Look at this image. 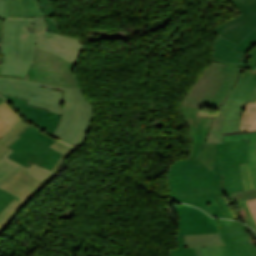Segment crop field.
<instances>
[{
    "instance_id": "8a807250",
    "label": "crop field",
    "mask_w": 256,
    "mask_h": 256,
    "mask_svg": "<svg viewBox=\"0 0 256 256\" xmlns=\"http://www.w3.org/2000/svg\"><path fill=\"white\" fill-rule=\"evenodd\" d=\"M239 163H248V140L216 143L212 170L199 159L176 161L167 174L170 199L202 208L213 217H225L214 198L225 195L241 221L231 194L244 190Z\"/></svg>"
},
{
    "instance_id": "ac0d7876",
    "label": "crop field",
    "mask_w": 256,
    "mask_h": 256,
    "mask_svg": "<svg viewBox=\"0 0 256 256\" xmlns=\"http://www.w3.org/2000/svg\"><path fill=\"white\" fill-rule=\"evenodd\" d=\"M0 93L27 99L28 105L62 114L52 136L75 147L82 146L93 108L80 89L0 77Z\"/></svg>"
},
{
    "instance_id": "34b2d1b8",
    "label": "crop field",
    "mask_w": 256,
    "mask_h": 256,
    "mask_svg": "<svg viewBox=\"0 0 256 256\" xmlns=\"http://www.w3.org/2000/svg\"><path fill=\"white\" fill-rule=\"evenodd\" d=\"M36 47L57 54L74 65L83 49L79 40L48 31L45 17L3 19L1 52L5 57L1 75L25 78Z\"/></svg>"
},
{
    "instance_id": "412701ff",
    "label": "crop field",
    "mask_w": 256,
    "mask_h": 256,
    "mask_svg": "<svg viewBox=\"0 0 256 256\" xmlns=\"http://www.w3.org/2000/svg\"><path fill=\"white\" fill-rule=\"evenodd\" d=\"M179 218L177 249H170V256H196L194 248H184L183 235L220 232L224 245L201 247L202 256H256V241L243 227L228 220L213 219L201 210L188 205L173 206Z\"/></svg>"
},
{
    "instance_id": "f4fd0767",
    "label": "crop field",
    "mask_w": 256,
    "mask_h": 256,
    "mask_svg": "<svg viewBox=\"0 0 256 256\" xmlns=\"http://www.w3.org/2000/svg\"><path fill=\"white\" fill-rule=\"evenodd\" d=\"M243 69L210 62L181 104L217 111Z\"/></svg>"
},
{
    "instance_id": "dd49c442",
    "label": "crop field",
    "mask_w": 256,
    "mask_h": 256,
    "mask_svg": "<svg viewBox=\"0 0 256 256\" xmlns=\"http://www.w3.org/2000/svg\"><path fill=\"white\" fill-rule=\"evenodd\" d=\"M256 98V71L244 69L231 93L212 121L207 142L222 143L221 132L240 131L242 111L248 101Z\"/></svg>"
},
{
    "instance_id": "e52e79f7",
    "label": "crop field",
    "mask_w": 256,
    "mask_h": 256,
    "mask_svg": "<svg viewBox=\"0 0 256 256\" xmlns=\"http://www.w3.org/2000/svg\"><path fill=\"white\" fill-rule=\"evenodd\" d=\"M20 136L8 147L14 150L8 158L27 168L30 166L27 163L32 162L52 170L62 155L48 147L56 140L32 125Z\"/></svg>"
},
{
    "instance_id": "d8731c3e",
    "label": "crop field",
    "mask_w": 256,
    "mask_h": 256,
    "mask_svg": "<svg viewBox=\"0 0 256 256\" xmlns=\"http://www.w3.org/2000/svg\"><path fill=\"white\" fill-rule=\"evenodd\" d=\"M72 68L73 64L68 61L37 48L26 79L62 87L80 88L72 74Z\"/></svg>"
},
{
    "instance_id": "5a996713",
    "label": "crop field",
    "mask_w": 256,
    "mask_h": 256,
    "mask_svg": "<svg viewBox=\"0 0 256 256\" xmlns=\"http://www.w3.org/2000/svg\"><path fill=\"white\" fill-rule=\"evenodd\" d=\"M180 109L193 139L190 159L199 158L212 169L215 143H206V138L214 114L184 105Z\"/></svg>"
},
{
    "instance_id": "3316defc",
    "label": "crop field",
    "mask_w": 256,
    "mask_h": 256,
    "mask_svg": "<svg viewBox=\"0 0 256 256\" xmlns=\"http://www.w3.org/2000/svg\"><path fill=\"white\" fill-rule=\"evenodd\" d=\"M25 172L26 170L19 167L0 183L1 189L20 198L18 201L14 199L0 212V231L5 229L10 223V218L16 210L45 185L36 181Z\"/></svg>"
},
{
    "instance_id": "28ad6ade",
    "label": "crop field",
    "mask_w": 256,
    "mask_h": 256,
    "mask_svg": "<svg viewBox=\"0 0 256 256\" xmlns=\"http://www.w3.org/2000/svg\"><path fill=\"white\" fill-rule=\"evenodd\" d=\"M240 15L216 28L218 35L239 44L245 37L256 43V0H229Z\"/></svg>"
},
{
    "instance_id": "d1516ede",
    "label": "crop field",
    "mask_w": 256,
    "mask_h": 256,
    "mask_svg": "<svg viewBox=\"0 0 256 256\" xmlns=\"http://www.w3.org/2000/svg\"><path fill=\"white\" fill-rule=\"evenodd\" d=\"M2 96L8 100V102L19 114H21L24 118H26L39 129L51 135L55 131L61 115L28 106L26 105V100L5 95Z\"/></svg>"
},
{
    "instance_id": "22f410ed",
    "label": "crop field",
    "mask_w": 256,
    "mask_h": 256,
    "mask_svg": "<svg viewBox=\"0 0 256 256\" xmlns=\"http://www.w3.org/2000/svg\"><path fill=\"white\" fill-rule=\"evenodd\" d=\"M36 16H43L37 0H6L4 17L27 18Z\"/></svg>"
},
{
    "instance_id": "cbeb9de0",
    "label": "crop field",
    "mask_w": 256,
    "mask_h": 256,
    "mask_svg": "<svg viewBox=\"0 0 256 256\" xmlns=\"http://www.w3.org/2000/svg\"><path fill=\"white\" fill-rule=\"evenodd\" d=\"M12 152L10 150L7 154H5L1 159H0V170H3L7 173H12L14 170H16L19 166V164L7 159L6 157ZM31 166L27 169L23 166V168L27 169L28 171L26 172L30 176L34 177L35 179L46 183L48 182L54 175L57 173H54L46 168L37 166L35 164L29 163Z\"/></svg>"
},
{
    "instance_id": "5142ce71",
    "label": "crop field",
    "mask_w": 256,
    "mask_h": 256,
    "mask_svg": "<svg viewBox=\"0 0 256 256\" xmlns=\"http://www.w3.org/2000/svg\"><path fill=\"white\" fill-rule=\"evenodd\" d=\"M236 46L237 44L217 35L213 44L212 57L239 64L246 54L233 50Z\"/></svg>"
},
{
    "instance_id": "d9b57169",
    "label": "crop field",
    "mask_w": 256,
    "mask_h": 256,
    "mask_svg": "<svg viewBox=\"0 0 256 256\" xmlns=\"http://www.w3.org/2000/svg\"><path fill=\"white\" fill-rule=\"evenodd\" d=\"M185 247H195L197 256H201V246H212L223 244L220 234H204V235H185L184 236Z\"/></svg>"
},
{
    "instance_id": "733c2abd",
    "label": "crop field",
    "mask_w": 256,
    "mask_h": 256,
    "mask_svg": "<svg viewBox=\"0 0 256 256\" xmlns=\"http://www.w3.org/2000/svg\"><path fill=\"white\" fill-rule=\"evenodd\" d=\"M249 139V166L254 187L256 186V133L224 136V141Z\"/></svg>"
},
{
    "instance_id": "4a817a6b",
    "label": "crop field",
    "mask_w": 256,
    "mask_h": 256,
    "mask_svg": "<svg viewBox=\"0 0 256 256\" xmlns=\"http://www.w3.org/2000/svg\"><path fill=\"white\" fill-rule=\"evenodd\" d=\"M29 126L30 124L22 119L11 130H9L5 135L0 138V158L10 150L7 147L17 138H19L18 135Z\"/></svg>"
},
{
    "instance_id": "bc2a9ffb",
    "label": "crop field",
    "mask_w": 256,
    "mask_h": 256,
    "mask_svg": "<svg viewBox=\"0 0 256 256\" xmlns=\"http://www.w3.org/2000/svg\"><path fill=\"white\" fill-rule=\"evenodd\" d=\"M244 129L256 130V104L249 103L246 105L241 121V131Z\"/></svg>"
},
{
    "instance_id": "214f88e0",
    "label": "crop field",
    "mask_w": 256,
    "mask_h": 256,
    "mask_svg": "<svg viewBox=\"0 0 256 256\" xmlns=\"http://www.w3.org/2000/svg\"><path fill=\"white\" fill-rule=\"evenodd\" d=\"M0 118L12 127L22 119L6 101L0 103Z\"/></svg>"
},
{
    "instance_id": "92a150f3",
    "label": "crop field",
    "mask_w": 256,
    "mask_h": 256,
    "mask_svg": "<svg viewBox=\"0 0 256 256\" xmlns=\"http://www.w3.org/2000/svg\"><path fill=\"white\" fill-rule=\"evenodd\" d=\"M49 147L55 149L56 151L62 153V157L59 159V161L56 163L55 167L53 168V171L57 172L59 171L62 163L66 160V158L71 154V152L73 150H75L74 148L61 143L59 141L54 142L52 145H50Z\"/></svg>"
},
{
    "instance_id": "dafd665d",
    "label": "crop field",
    "mask_w": 256,
    "mask_h": 256,
    "mask_svg": "<svg viewBox=\"0 0 256 256\" xmlns=\"http://www.w3.org/2000/svg\"><path fill=\"white\" fill-rule=\"evenodd\" d=\"M236 203H237L242 221L245 222L247 225L251 226L256 231V223L250 214V211L248 209V206L245 200L238 201Z\"/></svg>"
},
{
    "instance_id": "00972430",
    "label": "crop field",
    "mask_w": 256,
    "mask_h": 256,
    "mask_svg": "<svg viewBox=\"0 0 256 256\" xmlns=\"http://www.w3.org/2000/svg\"><path fill=\"white\" fill-rule=\"evenodd\" d=\"M239 67L256 70V46L245 56Z\"/></svg>"
},
{
    "instance_id": "a9b5d70f",
    "label": "crop field",
    "mask_w": 256,
    "mask_h": 256,
    "mask_svg": "<svg viewBox=\"0 0 256 256\" xmlns=\"http://www.w3.org/2000/svg\"><path fill=\"white\" fill-rule=\"evenodd\" d=\"M232 194H233L235 201L243 200V199H246V201H247V200L256 198V188H252V189H249L246 191H241V192H235Z\"/></svg>"
},
{
    "instance_id": "4177f3b9",
    "label": "crop field",
    "mask_w": 256,
    "mask_h": 256,
    "mask_svg": "<svg viewBox=\"0 0 256 256\" xmlns=\"http://www.w3.org/2000/svg\"><path fill=\"white\" fill-rule=\"evenodd\" d=\"M241 166V172H242V177H243V182H244V188L249 189L252 188V181H251V176H250V171H249V166L248 164H240Z\"/></svg>"
},
{
    "instance_id": "730fd06b",
    "label": "crop field",
    "mask_w": 256,
    "mask_h": 256,
    "mask_svg": "<svg viewBox=\"0 0 256 256\" xmlns=\"http://www.w3.org/2000/svg\"><path fill=\"white\" fill-rule=\"evenodd\" d=\"M216 199H217L219 205L221 206L223 212L225 213L226 217H227V218L236 219L235 216H234V214L232 213V211H231V209H230V207H229V205H228V203H227L225 197H224V196H222V197H216ZM236 220H237V219H236Z\"/></svg>"
},
{
    "instance_id": "eef30255",
    "label": "crop field",
    "mask_w": 256,
    "mask_h": 256,
    "mask_svg": "<svg viewBox=\"0 0 256 256\" xmlns=\"http://www.w3.org/2000/svg\"><path fill=\"white\" fill-rule=\"evenodd\" d=\"M256 44L253 42L249 41L248 39H244L236 48L235 50L248 53Z\"/></svg>"
},
{
    "instance_id": "ae1a2a85",
    "label": "crop field",
    "mask_w": 256,
    "mask_h": 256,
    "mask_svg": "<svg viewBox=\"0 0 256 256\" xmlns=\"http://www.w3.org/2000/svg\"><path fill=\"white\" fill-rule=\"evenodd\" d=\"M45 16L54 14L53 5L50 0H38Z\"/></svg>"
},
{
    "instance_id": "d3111659",
    "label": "crop field",
    "mask_w": 256,
    "mask_h": 256,
    "mask_svg": "<svg viewBox=\"0 0 256 256\" xmlns=\"http://www.w3.org/2000/svg\"><path fill=\"white\" fill-rule=\"evenodd\" d=\"M46 20L49 30L59 34V28L55 19L53 17H46Z\"/></svg>"
},
{
    "instance_id": "750c4746",
    "label": "crop field",
    "mask_w": 256,
    "mask_h": 256,
    "mask_svg": "<svg viewBox=\"0 0 256 256\" xmlns=\"http://www.w3.org/2000/svg\"><path fill=\"white\" fill-rule=\"evenodd\" d=\"M13 200V198L3 194L0 192V211L7 205L9 204L11 201ZM8 206V205H7ZM6 206V207H7Z\"/></svg>"
},
{
    "instance_id": "bd1437ed",
    "label": "crop field",
    "mask_w": 256,
    "mask_h": 256,
    "mask_svg": "<svg viewBox=\"0 0 256 256\" xmlns=\"http://www.w3.org/2000/svg\"><path fill=\"white\" fill-rule=\"evenodd\" d=\"M248 206L250 208L251 214L254 217L255 221H256V199L252 200V201H248Z\"/></svg>"
},
{
    "instance_id": "1d83c4d3",
    "label": "crop field",
    "mask_w": 256,
    "mask_h": 256,
    "mask_svg": "<svg viewBox=\"0 0 256 256\" xmlns=\"http://www.w3.org/2000/svg\"><path fill=\"white\" fill-rule=\"evenodd\" d=\"M11 128L12 127H10L8 124L0 119V137Z\"/></svg>"
},
{
    "instance_id": "120bbe31",
    "label": "crop field",
    "mask_w": 256,
    "mask_h": 256,
    "mask_svg": "<svg viewBox=\"0 0 256 256\" xmlns=\"http://www.w3.org/2000/svg\"><path fill=\"white\" fill-rule=\"evenodd\" d=\"M4 6H5V0H0V17H3Z\"/></svg>"
},
{
    "instance_id": "d32e631a",
    "label": "crop field",
    "mask_w": 256,
    "mask_h": 256,
    "mask_svg": "<svg viewBox=\"0 0 256 256\" xmlns=\"http://www.w3.org/2000/svg\"><path fill=\"white\" fill-rule=\"evenodd\" d=\"M212 61L220 62V63H223V64L234 65V66H236V67H238V66H239V65H237V64L228 63V62H224V61L216 60V59H213V58H212Z\"/></svg>"
},
{
    "instance_id": "5866460e",
    "label": "crop field",
    "mask_w": 256,
    "mask_h": 256,
    "mask_svg": "<svg viewBox=\"0 0 256 256\" xmlns=\"http://www.w3.org/2000/svg\"><path fill=\"white\" fill-rule=\"evenodd\" d=\"M8 174L3 172V171H0V182L7 176Z\"/></svg>"
},
{
    "instance_id": "028f5c9d",
    "label": "crop field",
    "mask_w": 256,
    "mask_h": 256,
    "mask_svg": "<svg viewBox=\"0 0 256 256\" xmlns=\"http://www.w3.org/2000/svg\"><path fill=\"white\" fill-rule=\"evenodd\" d=\"M251 132H256V131H251ZM251 132H235V133H227V134H224V135L243 134V133H251Z\"/></svg>"
},
{
    "instance_id": "e1f06a70",
    "label": "crop field",
    "mask_w": 256,
    "mask_h": 256,
    "mask_svg": "<svg viewBox=\"0 0 256 256\" xmlns=\"http://www.w3.org/2000/svg\"><path fill=\"white\" fill-rule=\"evenodd\" d=\"M1 35H2V19H0V38H1Z\"/></svg>"
},
{
    "instance_id": "0bd39190",
    "label": "crop field",
    "mask_w": 256,
    "mask_h": 256,
    "mask_svg": "<svg viewBox=\"0 0 256 256\" xmlns=\"http://www.w3.org/2000/svg\"><path fill=\"white\" fill-rule=\"evenodd\" d=\"M0 191H2V190H0ZM2 192H4V191H2ZM4 193H6V192H4ZM6 194H8V193H6ZM8 195H10V194H8ZM10 196H12V195H10ZM12 197H14V196H12ZM14 198L18 200V198H16V197H14Z\"/></svg>"
},
{
    "instance_id": "b80d0937",
    "label": "crop field",
    "mask_w": 256,
    "mask_h": 256,
    "mask_svg": "<svg viewBox=\"0 0 256 256\" xmlns=\"http://www.w3.org/2000/svg\"><path fill=\"white\" fill-rule=\"evenodd\" d=\"M4 99L0 96V102L3 101Z\"/></svg>"
},
{
    "instance_id": "c035e120",
    "label": "crop field",
    "mask_w": 256,
    "mask_h": 256,
    "mask_svg": "<svg viewBox=\"0 0 256 256\" xmlns=\"http://www.w3.org/2000/svg\"><path fill=\"white\" fill-rule=\"evenodd\" d=\"M2 65H0V73H1Z\"/></svg>"
},
{
    "instance_id": "c21b1889",
    "label": "crop field",
    "mask_w": 256,
    "mask_h": 256,
    "mask_svg": "<svg viewBox=\"0 0 256 256\" xmlns=\"http://www.w3.org/2000/svg\"><path fill=\"white\" fill-rule=\"evenodd\" d=\"M253 103H255L256 102V99L254 100V101H252Z\"/></svg>"
}]
</instances>
